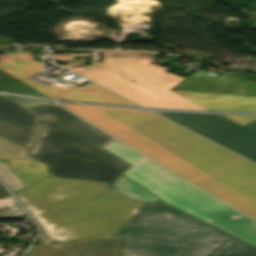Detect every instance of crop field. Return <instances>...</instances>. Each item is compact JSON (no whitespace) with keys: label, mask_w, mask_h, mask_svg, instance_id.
<instances>
[{"label":"crop field","mask_w":256,"mask_h":256,"mask_svg":"<svg viewBox=\"0 0 256 256\" xmlns=\"http://www.w3.org/2000/svg\"><path fill=\"white\" fill-rule=\"evenodd\" d=\"M58 104L256 220V165L148 111Z\"/></svg>","instance_id":"1"},{"label":"crop field","mask_w":256,"mask_h":256,"mask_svg":"<svg viewBox=\"0 0 256 256\" xmlns=\"http://www.w3.org/2000/svg\"><path fill=\"white\" fill-rule=\"evenodd\" d=\"M108 183L47 177L17 193L43 232L59 242L111 237L143 202L125 198Z\"/></svg>","instance_id":"2"},{"label":"crop field","mask_w":256,"mask_h":256,"mask_svg":"<svg viewBox=\"0 0 256 256\" xmlns=\"http://www.w3.org/2000/svg\"><path fill=\"white\" fill-rule=\"evenodd\" d=\"M116 235L120 256H256V249L163 202L144 203Z\"/></svg>","instance_id":"3"},{"label":"crop field","mask_w":256,"mask_h":256,"mask_svg":"<svg viewBox=\"0 0 256 256\" xmlns=\"http://www.w3.org/2000/svg\"><path fill=\"white\" fill-rule=\"evenodd\" d=\"M30 111L46 120L29 156L50 176L109 182L133 166L101 148L114 138L58 105Z\"/></svg>","instance_id":"4"},{"label":"crop field","mask_w":256,"mask_h":256,"mask_svg":"<svg viewBox=\"0 0 256 256\" xmlns=\"http://www.w3.org/2000/svg\"><path fill=\"white\" fill-rule=\"evenodd\" d=\"M102 148L133 164L123 174L155 196L256 247V222L117 140Z\"/></svg>","instance_id":"5"},{"label":"crop field","mask_w":256,"mask_h":256,"mask_svg":"<svg viewBox=\"0 0 256 256\" xmlns=\"http://www.w3.org/2000/svg\"><path fill=\"white\" fill-rule=\"evenodd\" d=\"M156 56L103 51L104 64L89 65L81 76L143 107L208 110L170 91L184 78L166 72L168 68L150 64Z\"/></svg>","instance_id":"6"},{"label":"crop field","mask_w":256,"mask_h":256,"mask_svg":"<svg viewBox=\"0 0 256 256\" xmlns=\"http://www.w3.org/2000/svg\"><path fill=\"white\" fill-rule=\"evenodd\" d=\"M256 163V133L221 116L156 112Z\"/></svg>","instance_id":"7"},{"label":"crop field","mask_w":256,"mask_h":256,"mask_svg":"<svg viewBox=\"0 0 256 256\" xmlns=\"http://www.w3.org/2000/svg\"><path fill=\"white\" fill-rule=\"evenodd\" d=\"M0 68L50 98L137 106L92 83L80 88L77 86L48 87L33 82L27 78L41 70V62H37L31 53L2 56Z\"/></svg>","instance_id":"8"},{"label":"crop field","mask_w":256,"mask_h":256,"mask_svg":"<svg viewBox=\"0 0 256 256\" xmlns=\"http://www.w3.org/2000/svg\"><path fill=\"white\" fill-rule=\"evenodd\" d=\"M40 118L0 96V135L30 148L40 126Z\"/></svg>","instance_id":"9"},{"label":"crop field","mask_w":256,"mask_h":256,"mask_svg":"<svg viewBox=\"0 0 256 256\" xmlns=\"http://www.w3.org/2000/svg\"><path fill=\"white\" fill-rule=\"evenodd\" d=\"M207 73L199 69L172 89L256 96V83L253 81H245L227 71L222 77L210 76Z\"/></svg>","instance_id":"10"},{"label":"crop field","mask_w":256,"mask_h":256,"mask_svg":"<svg viewBox=\"0 0 256 256\" xmlns=\"http://www.w3.org/2000/svg\"><path fill=\"white\" fill-rule=\"evenodd\" d=\"M122 237L70 241L54 246H36L28 256H117Z\"/></svg>","instance_id":"11"},{"label":"crop field","mask_w":256,"mask_h":256,"mask_svg":"<svg viewBox=\"0 0 256 256\" xmlns=\"http://www.w3.org/2000/svg\"><path fill=\"white\" fill-rule=\"evenodd\" d=\"M26 149L0 137V159H5L27 186L49 176L46 165L27 155Z\"/></svg>","instance_id":"12"},{"label":"crop field","mask_w":256,"mask_h":256,"mask_svg":"<svg viewBox=\"0 0 256 256\" xmlns=\"http://www.w3.org/2000/svg\"><path fill=\"white\" fill-rule=\"evenodd\" d=\"M212 111L256 112V97L176 91Z\"/></svg>","instance_id":"13"},{"label":"crop field","mask_w":256,"mask_h":256,"mask_svg":"<svg viewBox=\"0 0 256 256\" xmlns=\"http://www.w3.org/2000/svg\"><path fill=\"white\" fill-rule=\"evenodd\" d=\"M105 187L125 197L140 200L143 202L159 200L122 175L116 178L108 185H106Z\"/></svg>","instance_id":"14"},{"label":"crop field","mask_w":256,"mask_h":256,"mask_svg":"<svg viewBox=\"0 0 256 256\" xmlns=\"http://www.w3.org/2000/svg\"><path fill=\"white\" fill-rule=\"evenodd\" d=\"M0 90L43 96L0 69ZM45 97V96H44Z\"/></svg>","instance_id":"15"},{"label":"crop field","mask_w":256,"mask_h":256,"mask_svg":"<svg viewBox=\"0 0 256 256\" xmlns=\"http://www.w3.org/2000/svg\"><path fill=\"white\" fill-rule=\"evenodd\" d=\"M24 215L23 211L0 184V218H13Z\"/></svg>","instance_id":"16"},{"label":"crop field","mask_w":256,"mask_h":256,"mask_svg":"<svg viewBox=\"0 0 256 256\" xmlns=\"http://www.w3.org/2000/svg\"><path fill=\"white\" fill-rule=\"evenodd\" d=\"M0 177L13 193L25 188V185L5 160H0Z\"/></svg>","instance_id":"17"},{"label":"crop field","mask_w":256,"mask_h":256,"mask_svg":"<svg viewBox=\"0 0 256 256\" xmlns=\"http://www.w3.org/2000/svg\"><path fill=\"white\" fill-rule=\"evenodd\" d=\"M9 98H11L12 100L19 103L20 105H22L23 107H25L27 109L42 106V105L53 104L51 102H46V101L24 99V98L12 97V96H9Z\"/></svg>","instance_id":"18"},{"label":"crop field","mask_w":256,"mask_h":256,"mask_svg":"<svg viewBox=\"0 0 256 256\" xmlns=\"http://www.w3.org/2000/svg\"><path fill=\"white\" fill-rule=\"evenodd\" d=\"M55 61L65 63L66 61L75 60V56H93V53H80V54H53Z\"/></svg>","instance_id":"19"},{"label":"crop field","mask_w":256,"mask_h":256,"mask_svg":"<svg viewBox=\"0 0 256 256\" xmlns=\"http://www.w3.org/2000/svg\"><path fill=\"white\" fill-rule=\"evenodd\" d=\"M241 125H246L254 120H256V116H243V115H223Z\"/></svg>","instance_id":"20"},{"label":"crop field","mask_w":256,"mask_h":256,"mask_svg":"<svg viewBox=\"0 0 256 256\" xmlns=\"http://www.w3.org/2000/svg\"><path fill=\"white\" fill-rule=\"evenodd\" d=\"M236 74L256 82V75L255 74H249V73H243V72H238Z\"/></svg>","instance_id":"21"},{"label":"crop field","mask_w":256,"mask_h":256,"mask_svg":"<svg viewBox=\"0 0 256 256\" xmlns=\"http://www.w3.org/2000/svg\"><path fill=\"white\" fill-rule=\"evenodd\" d=\"M245 127H247V128H249V129H251V130L256 132V121L246 125Z\"/></svg>","instance_id":"22"},{"label":"crop field","mask_w":256,"mask_h":256,"mask_svg":"<svg viewBox=\"0 0 256 256\" xmlns=\"http://www.w3.org/2000/svg\"><path fill=\"white\" fill-rule=\"evenodd\" d=\"M217 1H220V0H217Z\"/></svg>","instance_id":"23"}]
</instances>
